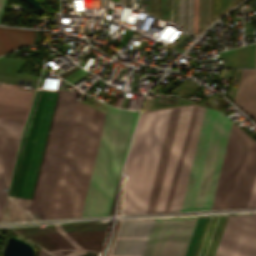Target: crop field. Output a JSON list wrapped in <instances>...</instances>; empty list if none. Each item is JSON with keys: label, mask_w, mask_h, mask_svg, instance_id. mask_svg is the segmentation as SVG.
Instances as JSON below:
<instances>
[{"label": "crop field", "mask_w": 256, "mask_h": 256, "mask_svg": "<svg viewBox=\"0 0 256 256\" xmlns=\"http://www.w3.org/2000/svg\"><path fill=\"white\" fill-rule=\"evenodd\" d=\"M58 91L37 89L20 141L11 182V198L31 199Z\"/></svg>", "instance_id": "obj_5"}, {"label": "crop field", "mask_w": 256, "mask_h": 256, "mask_svg": "<svg viewBox=\"0 0 256 256\" xmlns=\"http://www.w3.org/2000/svg\"><path fill=\"white\" fill-rule=\"evenodd\" d=\"M240 1V0H238ZM242 1V0H241ZM240 1V2H241ZM238 2V3H240ZM237 3V0H235ZM237 3V4H238ZM235 4V5H237ZM232 5H234V0H232ZM234 5V6H235ZM231 7V0H224V11ZM233 7V6H232ZM230 9V8H229ZM228 9V10H229ZM207 10H208V0H205V18H204V27L207 26ZM226 10V11H228ZM210 11H211V0H209V10H208V24L210 23ZM225 11V12H226ZM224 12V13H225ZM223 13V0H212V13H211V21L215 19L217 16ZM223 13V14H224ZM222 14V15H223ZM203 17H204V0H203ZM220 17V16H219ZM217 17V18H219ZM216 18V19H217ZM201 19H202V0H200V21H199V7H198V21H199V32L201 31ZM210 25V24H209ZM202 29H203V19H202ZM205 29V28H204ZM203 29V30H204ZM202 30V31H203ZM197 32H198V25H197ZM195 35V34H193Z\"/></svg>", "instance_id": "obj_12"}, {"label": "crop field", "mask_w": 256, "mask_h": 256, "mask_svg": "<svg viewBox=\"0 0 256 256\" xmlns=\"http://www.w3.org/2000/svg\"><path fill=\"white\" fill-rule=\"evenodd\" d=\"M247 135L196 105L142 113L125 166L124 212L256 207V142Z\"/></svg>", "instance_id": "obj_1"}, {"label": "crop field", "mask_w": 256, "mask_h": 256, "mask_svg": "<svg viewBox=\"0 0 256 256\" xmlns=\"http://www.w3.org/2000/svg\"><path fill=\"white\" fill-rule=\"evenodd\" d=\"M38 256H51L47 252H45L43 249H40L39 255Z\"/></svg>", "instance_id": "obj_17"}, {"label": "crop field", "mask_w": 256, "mask_h": 256, "mask_svg": "<svg viewBox=\"0 0 256 256\" xmlns=\"http://www.w3.org/2000/svg\"><path fill=\"white\" fill-rule=\"evenodd\" d=\"M129 6L131 7V0H129Z\"/></svg>", "instance_id": "obj_19"}, {"label": "crop field", "mask_w": 256, "mask_h": 256, "mask_svg": "<svg viewBox=\"0 0 256 256\" xmlns=\"http://www.w3.org/2000/svg\"><path fill=\"white\" fill-rule=\"evenodd\" d=\"M26 120L0 116V133L20 136Z\"/></svg>", "instance_id": "obj_13"}, {"label": "crop field", "mask_w": 256, "mask_h": 256, "mask_svg": "<svg viewBox=\"0 0 256 256\" xmlns=\"http://www.w3.org/2000/svg\"><path fill=\"white\" fill-rule=\"evenodd\" d=\"M149 13L161 19V0H149Z\"/></svg>", "instance_id": "obj_14"}, {"label": "crop field", "mask_w": 256, "mask_h": 256, "mask_svg": "<svg viewBox=\"0 0 256 256\" xmlns=\"http://www.w3.org/2000/svg\"><path fill=\"white\" fill-rule=\"evenodd\" d=\"M6 3H7V0H0V22H1V18H2Z\"/></svg>", "instance_id": "obj_16"}, {"label": "crop field", "mask_w": 256, "mask_h": 256, "mask_svg": "<svg viewBox=\"0 0 256 256\" xmlns=\"http://www.w3.org/2000/svg\"><path fill=\"white\" fill-rule=\"evenodd\" d=\"M16 139L17 138L0 136V192H2V193L4 191V187H5V183H6V179H7V175H8V171H9V167H10V163H11V159H12V155H13V151H14V147H15V143H16ZM19 139L20 138H18V140H17V144H16V148H15V152H14L6 188L8 187V183H9V179H10V175H11V171H12V167H13V163H14V159H15V155H16V151H17V147H18V143H19ZM4 193L6 194L7 192L5 191Z\"/></svg>", "instance_id": "obj_10"}, {"label": "crop field", "mask_w": 256, "mask_h": 256, "mask_svg": "<svg viewBox=\"0 0 256 256\" xmlns=\"http://www.w3.org/2000/svg\"><path fill=\"white\" fill-rule=\"evenodd\" d=\"M119 3H123L125 5H128V0H119Z\"/></svg>", "instance_id": "obj_18"}, {"label": "crop field", "mask_w": 256, "mask_h": 256, "mask_svg": "<svg viewBox=\"0 0 256 256\" xmlns=\"http://www.w3.org/2000/svg\"><path fill=\"white\" fill-rule=\"evenodd\" d=\"M193 0H174L173 21L191 34Z\"/></svg>", "instance_id": "obj_11"}, {"label": "crop field", "mask_w": 256, "mask_h": 256, "mask_svg": "<svg viewBox=\"0 0 256 256\" xmlns=\"http://www.w3.org/2000/svg\"><path fill=\"white\" fill-rule=\"evenodd\" d=\"M228 216L118 220L107 256H214ZM215 256H256V214L229 216Z\"/></svg>", "instance_id": "obj_2"}, {"label": "crop field", "mask_w": 256, "mask_h": 256, "mask_svg": "<svg viewBox=\"0 0 256 256\" xmlns=\"http://www.w3.org/2000/svg\"><path fill=\"white\" fill-rule=\"evenodd\" d=\"M234 103L256 121V70H243Z\"/></svg>", "instance_id": "obj_8"}, {"label": "crop field", "mask_w": 256, "mask_h": 256, "mask_svg": "<svg viewBox=\"0 0 256 256\" xmlns=\"http://www.w3.org/2000/svg\"><path fill=\"white\" fill-rule=\"evenodd\" d=\"M76 95L63 90L58 92L29 207L42 219L47 216Z\"/></svg>", "instance_id": "obj_6"}, {"label": "crop field", "mask_w": 256, "mask_h": 256, "mask_svg": "<svg viewBox=\"0 0 256 256\" xmlns=\"http://www.w3.org/2000/svg\"><path fill=\"white\" fill-rule=\"evenodd\" d=\"M34 43V31L0 27V55Z\"/></svg>", "instance_id": "obj_9"}, {"label": "crop field", "mask_w": 256, "mask_h": 256, "mask_svg": "<svg viewBox=\"0 0 256 256\" xmlns=\"http://www.w3.org/2000/svg\"><path fill=\"white\" fill-rule=\"evenodd\" d=\"M137 114L107 107L81 216L109 214Z\"/></svg>", "instance_id": "obj_4"}, {"label": "crop field", "mask_w": 256, "mask_h": 256, "mask_svg": "<svg viewBox=\"0 0 256 256\" xmlns=\"http://www.w3.org/2000/svg\"><path fill=\"white\" fill-rule=\"evenodd\" d=\"M101 127L74 109L47 218L80 216Z\"/></svg>", "instance_id": "obj_3"}, {"label": "crop field", "mask_w": 256, "mask_h": 256, "mask_svg": "<svg viewBox=\"0 0 256 256\" xmlns=\"http://www.w3.org/2000/svg\"><path fill=\"white\" fill-rule=\"evenodd\" d=\"M113 1L118 3V0H113Z\"/></svg>", "instance_id": "obj_20"}, {"label": "crop field", "mask_w": 256, "mask_h": 256, "mask_svg": "<svg viewBox=\"0 0 256 256\" xmlns=\"http://www.w3.org/2000/svg\"><path fill=\"white\" fill-rule=\"evenodd\" d=\"M34 92L0 87V115L26 119Z\"/></svg>", "instance_id": "obj_7"}, {"label": "crop field", "mask_w": 256, "mask_h": 256, "mask_svg": "<svg viewBox=\"0 0 256 256\" xmlns=\"http://www.w3.org/2000/svg\"><path fill=\"white\" fill-rule=\"evenodd\" d=\"M198 0H194L192 33H196Z\"/></svg>", "instance_id": "obj_15"}]
</instances>
